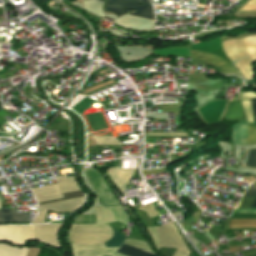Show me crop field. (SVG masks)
<instances>
[{
	"instance_id": "obj_24",
	"label": "crop field",
	"mask_w": 256,
	"mask_h": 256,
	"mask_svg": "<svg viewBox=\"0 0 256 256\" xmlns=\"http://www.w3.org/2000/svg\"><path fill=\"white\" fill-rule=\"evenodd\" d=\"M241 103L244 106L247 122L254 123L253 112H252V108H251L249 101L243 100V101H241Z\"/></svg>"
},
{
	"instance_id": "obj_21",
	"label": "crop field",
	"mask_w": 256,
	"mask_h": 256,
	"mask_svg": "<svg viewBox=\"0 0 256 256\" xmlns=\"http://www.w3.org/2000/svg\"><path fill=\"white\" fill-rule=\"evenodd\" d=\"M113 229V228H112ZM114 236L112 239H110L109 241H107L105 243L106 247H113V246H120L121 243L124 241L125 236L121 235L120 233H118L116 230H114Z\"/></svg>"
},
{
	"instance_id": "obj_22",
	"label": "crop field",
	"mask_w": 256,
	"mask_h": 256,
	"mask_svg": "<svg viewBox=\"0 0 256 256\" xmlns=\"http://www.w3.org/2000/svg\"><path fill=\"white\" fill-rule=\"evenodd\" d=\"M125 244H128V245H131V246H134V247H137V248H140L142 250H145V251H148V252H151V253H154L151 248L148 246L147 243H144V242H140V241H136V240H132V239H126L125 241ZM155 254V253H154Z\"/></svg>"
},
{
	"instance_id": "obj_15",
	"label": "crop field",
	"mask_w": 256,
	"mask_h": 256,
	"mask_svg": "<svg viewBox=\"0 0 256 256\" xmlns=\"http://www.w3.org/2000/svg\"><path fill=\"white\" fill-rule=\"evenodd\" d=\"M0 222H29V215L4 208L0 211Z\"/></svg>"
},
{
	"instance_id": "obj_18",
	"label": "crop field",
	"mask_w": 256,
	"mask_h": 256,
	"mask_svg": "<svg viewBox=\"0 0 256 256\" xmlns=\"http://www.w3.org/2000/svg\"><path fill=\"white\" fill-rule=\"evenodd\" d=\"M229 228H256V219H231Z\"/></svg>"
},
{
	"instance_id": "obj_3",
	"label": "crop field",
	"mask_w": 256,
	"mask_h": 256,
	"mask_svg": "<svg viewBox=\"0 0 256 256\" xmlns=\"http://www.w3.org/2000/svg\"><path fill=\"white\" fill-rule=\"evenodd\" d=\"M129 1H134L142 4H151L150 0H129ZM129 1L109 0L106 5V11L122 15L132 9H135V11L130 14L155 20L152 6L141 5V4L129 2Z\"/></svg>"
},
{
	"instance_id": "obj_32",
	"label": "crop field",
	"mask_w": 256,
	"mask_h": 256,
	"mask_svg": "<svg viewBox=\"0 0 256 256\" xmlns=\"http://www.w3.org/2000/svg\"><path fill=\"white\" fill-rule=\"evenodd\" d=\"M175 251V248H161L159 253L162 254L163 256H173Z\"/></svg>"
},
{
	"instance_id": "obj_13",
	"label": "crop field",
	"mask_w": 256,
	"mask_h": 256,
	"mask_svg": "<svg viewBox=\"0 0 256 256\" xmlns=\"http://www.w3.org/2000/svg\"><path fill=\"white\" fill-rule=\"evenodd\" d=\"M38 203L63 198L58 184L32 189Z\"/></svg>"
},
{
	"instance_id": "obj_20",
	"label": "crop field",
	"mask_w": 256,
	"mask_h": 256,
	"mask_svg": "<svg viewBox=\"0 0 256 256\" xmlns=\"http://www.w3.org/2000/svg\"><path fill=\"white\" fill-rule=\"evenodd\" d=\"M224 118H242L240 102H232Z\"/></svg>"
},
{
	"instance_id": "obj_19",
	"label": "crop field",
	"mask_w": 256,
	"mask_h": 256,
	"mask_svg": "<svg viewBox=\"0 0 256 256\" xmlns=\"http://www.w3.org/2000/svg\"><path fill=\"white\" fill-rule=\"evenodd\" d=\"M117 252H120L122 254L128 255V256H156L154 254L139 250L137 248L128 246L123 244Z\"/></svg>"
},
{
	"instance_id": "obj_44",
	"label": "crop field",
	"mask_w": 256,
	"mask_h": 256,
	"mask_svg": "<svg viewBox=\"0 0 256 256\" xmlns=\"http://www.w3.org/2000/svg\"><path fill=\"white\" fill-rule=\"evenodd\" d=\"M2 21H0V23H1Z\"/></svg>"
},
{
	"instance_id": "obj_14",
	"label": "crop field",
	"mask_w": 256,
	"mask_h": 256,
	"mask_svg": "<svg viewBox=\"0 0 256 256\" xmlns=\"http://www.w3.org/2000/svg\"><path fill=\"white\" fill-rule=\"evenodd\" d=\"M192 57H196L199 59H203L208 62H212L218 66H220L225 72L229 73H237L238 72L235 70L233 64L213 55L208 52H200V51H191Z\"/></svg>"
},
{
	"instance_id": "obj_36",
	"label": "crop field",
	"mask_w": 256,
	"mask_h": 256,
	"mask_svg": "<svg viewBox=\"0 0 256 256\" xmlns=\"http://www.w3.org/2000/svg\"><path fill=\"white\" fill-rule=\"evenodd\" d=\"M188 253V252H187ZM186 252L177 249L176 253L174 254V256H189V254H187Z\"/></svg>"
},
{
	"instance_id": "obj_4",
	"label": "crop field",
	"mask_w": 256,
	"mask_h": 256,
	"mask_svg": "<svg viewBox=\"0 0 256 256\" xmlns=\"http://www.w3.org/2000/svg\"><path fill=\"white\" fill-rule=\"evenodd\" d=\"M102 205H119L104 177L92 167L85 171Z\"/></svg>"
},
{
	"instance_id": "obj_16",
	"label": "crop field",
	"mask_w": 256,
	"mask_h": 256,
	"mask_svg": "<svg viewBox=\"0 0 256 256\" xmlns=\"http://www.w3.org/2000/svg\"><path fill=\"white\" fill-rule=\"evenodd\" d=\"M56 180L63 193L80 190L74 177L68 178V179L63 177V178H58Z\"/></svg>"
},
{
	"instance_id": "obj_5",
	"label": "crop field",
	"mask_w": 256,
	"mask_h": 256,
	"mask_svg": "<svg viewBox=\"0 0 256 256\" xmlns=\"http://www.w3.org/2000/svg\"><path fill=\"white\" fill-rule=\"evenodd\" d=\"M160 238V247H175L188 250L174 224L156 227ZM189 251V250H188Z\"/></svg>"
},
{
	"instance_id": "obj_17",
	"label": "crop field",
	"mask_w": 256,
	"mask_h": 256,
	"mask_svg": "<svg viewBox=\"0 0 256 256\" xmlns=\"http://www.w3.org/2000/svg\"><path fill=\"white\" fill-rule=\"evenodd\" d=\"M28 248H15L0 244V256H25Z\"/></svg>"
},
{
	"instance_id": "obj_42",
	"label": "crop field",
	"mask_w": 256,
	"mask_h": 256,
	"mask_svg": "<svg viewBox=\"0 0 256 256\" xmlns=\"http://www.w3.org/2000/svg\"><path fill=\"white\" fill-rule=\"evenodd\" d=\"M44 3L46 2V0H42Z\"/></svg>"
},
{
	"instance_id": "obj_39",
	"label": "crop field",
	"mask_w": 256,
	"mask_h": 256,
	"mask_svg": "<svg viewBox=\"0 0 256 256\" xmlns=\"http://www.w3.org/2000/svg\"><path fill=\"white\" fill-rule=\"evenodd\" d=\"M256 9V5H246L242 10Z\"/></svg>"
},
{
	"instance_id": "obj_28",
	"label": "crop field",
	"mask_w": 256,
	"mask_h": 256,
	"mask_svg": "<svg viewBox=\"0 0 256 256\" xmlns=\"http://www.w3.org/2000/svg\"><path fill=\"white\" fill-rule=\"evenodd\" d=\"M246 166L256 168V150L250 151Z\"/></svg>"
},
{
	"instance_id": "obj_29",
	"label": "crop field",
	"mask_w": 256,
	"mask_h": 256,
	"mask_svg": "<svg viewBox=\"0 0 256 256\" xmlns=\"http://www.w3.org/2000/svg\"><path fill=\"white\" fill-rule=\"evenodd\" d=\"M147 230L149 231V233L154 241V244L158 250L159 249V238H158V234L155 230V227H148Z\"/></svg>"
},
{
	"instance_id": "obj_41",
	"label": "crop field",
	"mask_w": 256,
	"mask_h": 256,
	"mask_svg": "<svg viewBox=\"0 0 256 256\" xmlns=\"http://www.w3.org/2000/svg\"><path fill=\"white\" fill-rule=\"evenodd\" d=\"M115 256H125V255H122V254L116 252Z\"/></svg>"
},
{
	"instance_id": "obj_35",
	"label": "crop field",
	"mask_w": 256,
	"mask_h": 256,
	"mask_svg": "<svg viewBox=\"0 0 256 256\" xmlns=\"http://www.w3.org/2000/svg\"><path fill=\"white\" fill-rule=\"evenodd\" d=\"M167 170L166 168H161V169H157V170H153V171H149V170H142V175H149V174H153V173H157V172H161V171H165Z\"/></svg>"
},
{
	"instance_id": "obj_31",
	"label": "crop field",
	"mask_w": 256,
	"mask_h": 256,
	"mask_svg": "<svg viewBox=\"0 0 256 256\" xmlns=\"http://www.w3.org/2000/svg\"><path fill=\"white\" fill-rule=\"evenodd\" d=\"M255 195H256V182L249 187V189L244 194L243 198L254 197Z\"/></svg>"
},
{
	"instance_id": "obj_7",
	"label": "crop field",
	"mask_w": 256,
	"mask_h": 256,
	"mask_svg": "<svg viewBox=\"0 0 256 256\" xmlns=\"http://www.w3.org/2000/svg\"><path fill=\"white\" fill-rule=\"evenodd\" d=\"M74 256H112L118 247L106 248L105 245H72Z\"/></svg>"
},
{
	"instance_id": "obj_37",
	"label": "crop field",
	"mask_w": 256,
	"mask_h": 256,
	"mask_svg": "<svg viewBox=\"0 0 256 256\" xmlns=\"http://www.w3.org/2000/svg\"><path fill=\"white\" fill-rule=\"evenodd\" d=\"M252 107H253V112H254V115H255V119H256V99H252V100H249Z\"/></svg>"
},
{
	"instance_id": "obj_10",
	"label": "crop field",
	"mask_w": 256,
	"mask_h": 256,
	"mask_svg": "<svg viewBox=\"0 0 256 256\" xmlns=\"http://www.w3.org/2000/svg\"><path fill=\"white\" fill-rule=\"evenodd\" d=\"M62 224L36 226L37 240L60 248L58 232Z\"/></svg>"
},
{
	"instance_id": "obj_1",
	"label": "crop field",
	"mask_w": 256,
	"mask_h": 256,
	"mask_svg": "<svg viewBox=\"0 0 256 256\" xmlns=\"http://www.w3.org/2000/svg\"><path fill=\"white\" fill-rule=\"evenodd\" d=\"M111 229V228H110ZM107 224H73L69 233H111ZM112 234H69L71 244H104Z\"/></svg>"
},
{
	"instance_id": "obj_2",
	"label": "crop field",
	"mask_w": 256,
	"mask_h": 256,
	"mask_svg": "<svg viewBox=\"0 0 256 256\" xmlns=\"http://www.w3.org/2000/svg\"><path fill=\"white\" fill-rule=\"evenodd\" d=\"M224 52L228 58L233 61L248 56L250 62V55L243 44V40H227L222 42ZM247 58L241 59L235 63L236 67L241 71L245 79H253V69L251 63Z\"/></svg>"
},
{
	"instance_id": "obj_23",
	"label": "crop field",
	"mask_w": 256,
	"mask_h": 256,
	"mask_svg": "<svg viewBox=\"0 0 256 256\" xmlns=\"http://www.w3.org/2000/svg\"><path fill=\"white\" fill-rule=\"evenodd\" d=\"M97 144L111 145V144H121L116 138L112 137H97L93 136Z\"/></svg>"
},
{
	"instance_id": "obj_8",
	"label": "crop field",
	"mask_w": 256,
	"mask_h": 256,
	"mask_svg": "<svg viewBox=\"0 0 256 256\" xmlns=\"http://www.w3.org/2000/svg\"><path fill=\"white\" fill-rule=\"evenodd\" d=\"M96 223L120 221L127 225L126 216L120 207L95 208Z\"/></svg>"
},
{
	"instance_id": "obj_12",
	"label": "crop field",
	"mask_w": 256,
	"mask_h": 256,
	"mask_svg": "<svg viewBox=\"0 0 256 256\" xmlns=\"http://www.w3.org/2000/svg\"><path fill=\"white\" fill-rule=\"evenodd\" d=\"M0 240L8 241L17 246H23L22 226H0Z\"/></svg>"
},
{
	"instance_id": "obj_34",
	"label": "crop field",
	"mask_w": 256,
	"mask_h": 256,
	"mask_svg": "<svg viewBox=\"0 0 256 256\" xmlns=\"http://www.w3.org/2000/svg\"><path fill=\"white\" fill-rule=\"evenodd\" d=\"M40 249L38 248H29L26 256H38Z\"/></svg>"
},
{
	"instance_id": "obj_6",
	"label": "crop field",
	"mask_w": 256,
	"mask_h": 256,
	"mask_svg": "<svg viewBox=\"0 0 256 256\" xmlns=\"http://www.w3.org/2000/svg\"><path fill=\"white\" fill-rule=\"evenodd\" d=\"M83 197L61 201L57 203L47 204L40 206L39 210V217L33 224L43 223L48 210L55 211V212H67L75 210L82 202Z\"/></svg>"
},
{
	"instance_id": "obj_26",
	"label": "crop field",
	"mask_w": 256,
	"mask_h": 256,
	"mask_svg": "<svg viewBox=\"0 0 256 256\" xmlns=\"http://www.w3.org/2000/svg\"><path fill=\"white\" fill-rule=\"evenodd\" d=\"M73 223H94L93 215H78Z\"/></svg>"
},
{
	"instance_id": "obj_33",
	"label": "crop field",
	"mask_w": 256,
	"mask_h": 256,
	"mask_svg": "<svg viewBox=\"0 0 256 256\" xmlns=\"http://www.w3.org/2000/svg\"><path fill=\"white\" fill-rule=\"evenodd\" d=\"M146 136H187L186 133L146 134Z\"/></svg>"
},
{
	"instance_id": "obj_9",
	"label": "crop field",
	"mask_w": 256,
	"mask_h": 256,
	"mask_svg": "<svg viewBox=\"0 0 256 256\" xmlns=\"http://www.w3.org/2000/svg\"><path fill=\"white\" fill-rule=\"evenodd\" d=\"M248 124L233 126V144H247ZM248 144H256V125L249 124Z\"/></svg>"
},
{
	"instance_id": "obj_27",
	"label": "crop field",
	"mask_w": 256,
	"mask_h": 256,
	"mask_svg": "<svg viewBox=\"0 0 256 256\" xmlns=\"http://www.w3.org/2000/svg\"><path fill=\"white\" fill-rule=\"evenodd\" d=\"M139 209L146 211L149 214L150 218L159 214L152 203L145 205L143 207H140Z\"/></svg>"
},
{
	"instance_id": "obj_25",
	"label": "crop field",
	"mask_w": 256,
	"mask_h": 256,
	"mask_svg": "<svg viewBox=\"0 0 256 256\" xmlns=\"http://www.w3.org/2000/svg\"><path fill=\"white\" fill-rule=\"evenodd\" d=\"M25 240H36L35 226H23Z\"/></svg>"
},
{
	"instance_id": "obj_40",
	"label": "crop field",
	"mask_w": 256,
	"mask_h": 256,
	"mask_svg": "<svg viewBox=\"0 0 256 256\" xmlns=\"http://www.w3.org/2000/svg\"><path fill=\"white\" fill-rule=\"evenodd\" d=\"M251 207H256V197H255V199H254L253 204H252Z\"/></svg>"
},
{
	"instance_id": "obj_43",
	"label": "crop field",
	"mask_w": 256,
	"mask_h": 256,
	"mask_svg": "<svg viewBox=\"0 0 256 256\" xmlns=\"http://www.w3.org/2000/svg\"><path fill=\"white\" fill-rule=\"evenodd\" d=\"M101 1H103V2H104V0H101Z\"/></svg>"
},
{
	"instance_id": "obj_45",
	"label": "crop field",
	"mask_w": 256,
	"mask_h": 256,
	"mask_svg": "<svg viewBox=\"0 0 256 256\" xmlns=\"http://www.w3.org/2000/svg\"><path fill=\"white\" fill-rule=\"evenodd\" d=\"M0 208H1V206H0Z\"/></svg>"
},
{
	"instance_id": "obj_38",
	"label": "crop field",
	"mask_w": 256,
	"mask_h": 256,
	"mask_svg": "<svg viewBox=\"0 0 256 256\" xmlns=\"http://www.w3.org/2000/svg\"><path fill=\"white\" fill-rule=\"evenodd\" d=\"M250 97H256V93H243L242 95V99Z\"/></svg>"
},
{
	"instance_id": "obj_11",
	"label": "crop field",
	"mask_w": 256,
	"mask_h": 256,
	"mask_svg": "<svg viewBox=\"0 0 256 256\" xmlns=\"http://www.w3.org/2000/svg\"><path fill=\"white\" fill-rule=\"evenodd\" d=\"M135 171L136 170L120 169V167H117V168H110L107 174L109 175L113 184L118 188V190L123 195L124 188L127 185L130 178L135 173Z\"/></svg>"
},
{
	"instance_id": "obj_30",
	"label": "crop field",
	"mask_w": 256,
	"mask_h": 256,
	"mask_svg": "<svg viewBox=\"0 0 256 256\" xmlns=\"http://www.w3.org/2000/svg\"><path fill=\"white\" fill-rule=\"evenodd\" d=\"M63 196H64V199L76 198V197L83 196V192L78 191V192L66 193V194H63ZM64 199H61V200H64ZM56 201H60V200H56ZM51 202H55V201H51ZM46 203H50V202H46ZM46 203H41V204H46Z\"/></svg>"
}]
</instances>
